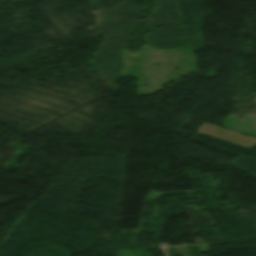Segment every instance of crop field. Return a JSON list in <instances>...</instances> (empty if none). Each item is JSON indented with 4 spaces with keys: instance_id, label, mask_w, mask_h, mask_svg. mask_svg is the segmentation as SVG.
<instances>
[{
    "instance_id": "1",
    "label": "crop field",
    "mask_w": 256,
    "mask_h": 256,
    "mask_svg": "<svg viewBox=\"0 0 256 256\" xmlns=\"http://www.w3.org/2000/svg\"><path fill=\"white\" fill-rule=\"evenodd\" d=\"M199 133L206 134L247 148L256 143V139L254 138L244 137L238 133L230 132L208 124H204L199 130Z\"/></svg>"
}]
</instances>
